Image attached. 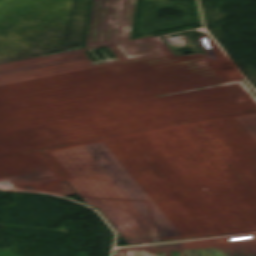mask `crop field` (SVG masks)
<instances>
[{"mask_svg":"<svg viewBox=\"0 0 256 256\" xmlns=\"http://www.w3.org/2000/svg\"><path fill=\"white\" fill-rule=\"evenodd\" d=\"M116 256H159V253L157 246H141L120 249L116 252Z\"/></svg>","mask_w":256,"mask_h":256,"instance_id":"1","label":"crop field"}]
</instances>
